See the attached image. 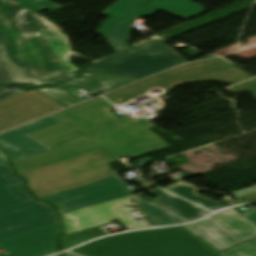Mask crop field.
<instances>
[{
  "instance_id": "crop-field-1",
  "label": "crop field",
  "mask_w": 256,
  "mask_h": 256,
  "mask_svg": "<svg viewBox=\"0 0 256 256\" xmlns=\"http://www.w3.org/2000/svg\"><path fill=\"white\" fill-rule=\"evenodd\" d=\"M21 10H0V100L24 92L14 86H40L79 70L68 61L70 50L62 33L26 38L18 31L12 14Z\"/></svg>"
},
{
  "instance_id": "crop-field-2",
  "label": "crop field",
  "mask_w": 256,
  "mask_h": 256,
  "mask_svg": "<svg viewBox=\"0 0 256 256\" xmlns=\"http://www.w3.org/2000/svg\"><path fill=\"white\" fill-rule=\"evenodd\" d=\"M16 177L0 151V256H47L56 252L60 234L57 216L50 205L34 200Z\"/></svg>"
},
{
  "instance_id": "crop-field-3",
  "label": "crop field",
  "mask_w": 256,
  "mask_h": 256,
  "mask_svg": "<svg viewBox=\"0 0 256 256\" xmlns=\"http://www.w3.org/2000/svg\"><path fill=\"white\" fill-rule=\"evenodd\" d=\"M144 118L13 163L18 175L103 147L115 156L136 158L169 146L148 128Z\"/></svg>"
},
{
  "instance_id": "crop-field-4",
  "label": "crop field",
  "mask_w": 256,
  "mask_h": 256,
  "mask_svg": "<svg viewBox=\"0 0 256 256\" xmlns=\"http://www.w3.org/2000/svg\"><path fill=\"white\" fill-rule=\"evenodd\" d=\"M71 252L82 256H209L216 254L181 226L104 238Z\"/></svg>"
},
{
  "instance_id": "crop-field-5",
  "label": "crop field",
  "mask_w": 256,
  "mask_h": 256,
  "mask_svg": "<svg viewBox=\"0 0 256 256\" xmlns=\"http://www.w3.org/2000/svg\"><path fill=\"white\" fill-rule=\"evenodd\" d=\"M116 158L99 148L20 176L27 180L28 191L40 198L115 175L107 163Z\"/></svg>"
},
{
  "instance_id": "crop-field-6",
  "label": "crop field",
  "mask_w": 256,
  "mask_h": 256,
  "mask_svg": "<svg viewBox=\"0 0 256 256\" xmlns=\"http://www.w3.org/2000/svg\"><path fill=\"white\" fill-rule=\"evenodd\" d=\"M114 107L102 97L52 115L62 123L29 134L53 149L136 120L125 116L118 119L109 112Z\"/></svg>"
},
{
  "instance_id": "crop-field-7",
  "label": "crop field",
  "mask_w": 256,
  "mask_h": 256,
  "mask_svg": "<svg viewBox=\"0 0 256 256\" xmlns=\"http://www.w3.org/2000/svg\"><path fill=\"white\" fill-rule=\"evenodd\" d=\"M186 61L158 40L84 71L120 73L137 81Z\"/></svg>"
},
{
  "instance_id": "crop-field-8",
  "label": "crop field",
  "mask_w": 256,
  "mask_h": 256,
  "mask_svg": "<svg viewBox=\"0 0 256 256\" xmlns=\"http://www.w3.org/2000/svg\"><path fill=\"white\" fill-rule=\"evenodd\" d=\"M184 228L217 253L256 237V226L233 209Z\"/></svg>"
},
{
  "instance_id": "crop-field-9",
  "label": "crop field",
  "mask_w": 256,
  "mask_h": 256,
  "mask_svg": "<svg viewBox=\"0 0 256 256\" xmlns=\"http://www.w3.org/2000/svg\"><path fill=\"white\" fill-rule=\"evenodd\" d=\"M138 184L142 187L131 190L127 188L128 185L121 177L115 175L80 188L43 197L40 198V200L54 203L59 214H62L127 196L152 187L151 183L147 181L138 182Z\"/></svg>"
},
{
  "instance_id": "crop-field-10",
  "label": "crop field",
  "mask_w": 256,
  "mask_h": 256,
  "mask_svg": "<svg viewBox=\"0 0 256 256\" xmlns=\"http://www.w3.org/2000/svg\"><path fill=\"white\" fill-rule=\"evenodd\" d=\"M133 199L137 202L142 201L141 198L131 195L96 206L62 214L61 220L64 235L116 220H118L127 230L151 227L145 221L135 222L132 220L133 216L125 207L132 205L128 201Z\"/></svg>"
},
{
  "instance_id": "crop-field-11",
  "label": "crop field",
  "mask_w": 256,
  "mask_h": 256,
  "mask_svg": "<svg viewBox=\"0 0 256 256\" xmlns=\"http://www.w3.org/2000/svg\"><path fill=\"white\" fill-rule=\"evenodd\" d=\"M81 75L82 77L79 79L66 82V86L59 85L37 90L69 107L79 101H82L80 96L76 95L77 93L75 92L79 88L96 95L106 90L121 87L132 82L129 78L121 75L98 73H81ZM72 86H74V88H72Z\"/></svg>"
},
{
  "instance_id": "crop-field-12",
  "label": "crop field",
  "mask_w": 256,
  "mask_h": 256,
  "mask_svg": "<svg viewBox=\"0 0 256 256\" xmlns=\"http://www.w3.org/2000/svg\"><path fill=\"white\" fill-rule=\"evenodd\" d=\"M57 123L60 122L49 116L15 128L7 133L0 135V148L10 155L12 163L50 150L27 134Z\"/></svg>"
},
{
  "instance_id": "crop-field-13",
  "label": "crop field",
  "mask_w": 256,
  "mask_h": 256,
  "mask_svg": "<svg viewBox=\"0 0 256 256\" xmlns=\"http://www.w3.org/2000/svg\"><path fill=\"white\" fill-rule=\"evenodd\" d=\"M178 15L183 18H190L204 12L201 5L189 0H151L147 5L129 15L112 34L122 50L128 49L129 32L133 29L131 23L133 20L142 16H149L157 10Z\"/></svg>"
},
{
  "instance_id": "crop-field-14",
  "label": "crop field",
  "mask_w": 256,
  "mask_h": 256,
  "mask_svg": "<svg viewBox=\"0 0 256 256\" xmlns=\"http://www.w3.org/2000/svg\"><path fill=\"white\" fill-rule=\"evenodd\" d=\"M148 192L154 196L155 198L151 199L141 193ZM138 194H135L143 199L152 202L172 213H175L189 221L198 219L210 212L195 206L181 198L173 196L159 188L150 189Z\"/></svg>"
},
{
  "instance_id": "crop-field-15",
  "label": "crop field",
  "mask_w": 256,
  "mask_h": 256,
  "mask_svg": "<svg viewBox=\"0 0 256 256\" xmlns=\"http://www.w3.org/2000/svg\"><path fill=\"white\" fill-rule=\"evenodd\" d=\"M147 1L149 0H119L103 12V14H108L111 16L101 26L98 33L102 34L105 38H107L116 51L121 50V48L116 43L111 34L118 27V25L121 23L122 19L125 16L139 8Z\"/></svg>"
},
{
  "instance_id": "crop-field-16",
  "label": "crop field",
  "mask_w": 256,
  "mask_h": 256,
  "mask_svg": "<svg viewBox=\"0 0 256 256\" xmlns=\"http://www.w3.org/2000/svg\"><path fill=\"white\" fill-rule=\"evenodd\" d=\"M205 62L208 64L210 69L188 75L186 78H211L217 81L233 84L253 78L241 69L233 66L231 63H228L221 58Z\"/></svg>"
},
{
  "instance_id": "crop-field-17",
  "label": "crop field",
  "mask_w": 256,
  "mask_h": 256,
  "mask_svg": "<svg viewBox=\"0 0 256 256\" xmlns=\"http://www.w3.org/2000/svg\"><path fill=\"white\" fill-rule=\"evenodd\" d=\"M153 87H161L167 92L174 89V82L170 81L163 74L105 95L114 105L129 101L131 98L147 93Z\"/></svg>"
},
{
  "instance_id": "crop-field-18",
  "label": "crop field",
  "mask_w": 256,
  "mask_h": 256,
  "mask_svg": "<svg viewBox=\"0 0 256 256\" xmlns=\"http://www.w3.org/2000/svg\"><path fill=\"white\" fill-rule=\"evenodd\" d=\"M164 189H167L179 196H182L188 200H191L212 211L221 207L234 205V202L229 195L223 198L222 200L215 202L211 199H208L206 197H203L197 194L198 192H200V189L184 181H178Z\"/></svg>"
},
{
  "instance_id": "crop-field-19",
  "label": "crop field",
  "mask_w": 256,
  "mask_h": 256,
  "mask_svg": "<svg viewBox=\"0 0 256 256\" xmlns=\"http://www.w3.org/2000/svg\"><path fill=\"white\" fill-rule=\"evenodd\" d=\"M18 29L26 37L41 31H58L51 23L31 11H21L13 14Z\"/></svg>"
},
{
  "instance_id": "crop-field-20",
  "label": "crop field",
  "mask_w": 256,
  "mask_h": 256,
  "mask_svg": "<svg viewBox=\"0 0 256 256\" xmlns=\"http://www.w3.org/2000/svg\"><path fill=\"white\" fill-rule=\"evenodd\" d=\"M136 206L146 216L145 218L153 225H170L188 222L187 220L172 214L152 203L140 202Z\"/></svg>"
},
{
  "instance_id": "crop-field-21",
  "label": "crop field",
  "mask_w": 256,
  "mask_h": 256,
  "mask_svg": "<svg viewBox=\"0 0 256 256\" xmlns=\"http://www.w3.org/2000/svg\"><path fill=\"white\" fill-rule=\"evenodd\" d=\"M12 5H17L24 9L31 10L35 13L46 9L55 10L57 8L62 7L47 0H5L2 3H0V9Z\"/></svg>"
},
{
  "instance_id": "crop-field-22",
  "label": "crop field",
  "mask_w": 256,
  "mask_h": 256,
  "mask_svg": "<svg viewBox=\"0 0 256 256\" xmlns=\"http://www.w3.org/2000/svg\"><path fill=\"white\" fill-rule=\"evenodd\" d=\"M206 68H208V66L205 64L204 61H201V62L182 65L180 67L174 68L163 74L167 76L169 79L174 80L177 78L185 77L191 73H196Z\"/></svg>"
},
{
  "instance_id": "crop-field-23",
  "label": "crop field",
  "mask_w": 256,
  "mask_h": 256,
  "mask_svg": "<svg viewBox=\"0 0 256 256\" xmlns=\"http://www.w3.org/2000/svg\"><path fill=\"white\" fill-rule=\"evenodd\" d=\"M220 256H256V239L228 250Z\"/></svg>"
},
{
  "instance_id": "crop-field-24",
  "label": "crop field",
  "mask_w": 256,
  "mask_h": 256,
  "mask_svg": "<svg viewBox=\"0 0 256 256\" xmlns=\"http://www.w3.org/2000/svg\"><path fill=\"white\" fill-rule=\"evenodd\" d=\"M211 79H183V80H176L175 87L184 84V83H193V82H203V81H210Z\"/></svg>"
},
{
  "instance_id": "crop-field-25",
  "label": "crop field",
  "mask_w": 256,
  "mask_h": 256,
  "mask_svg": "<svg viewBox=\"0 0 256 256\" xmlns=\"http://www.w3.org/2000/svg\"><path fill=\"white\" fill-rule=\"evenodd\" d=\"M242 215L256 225V210L250 211Z\"/></svg>"
},
{
  "instance_id": "crop-field-26",
  "label": "crop field",
  "mask_w": 256,
  "mask_h": 256,
  "mask_svg": "<svg viewBox=\"0 0 256 256\" xmlns=\"http://www.w3.org/2000/svg\"><path fill=\"white\" fill-rule=\"evenodd\" d=\"M247 88H250V86L237 85V86L231 87L227 90L231 93H236V92L242 91V90L247 89Z\"/></svg>"
},
{
  "instance_id": "crop-field-27",
  "label": "crop field",
  "mask_w": 256,
  "mask_h": 256,
  "mask_svg": "<svg viewBox=\"0 0 256 256\" xmlns=\"http://www.w3.org/2000/svg\"><path fill=\"white\" fill-rule=\"evenodd\" d=\"M75 76H77V75H76V74H69V75H66V76H64V77H62V78H60V79H57V80L53 81V82H50V83H48V84H49V85H52V84H55V83H58V82H61V81L68 80V79L73 78V77H75Z\"/></svg>"
},
{
  "instance_id": "crop-field-28",
  "label": "crop field",
  "mask_w": 256,
  "mask_h": 256,
  "mask_svg": "<svg viewBox=\"0 0 256 256\" xmlns=\"http://www.w3.org/2000/svg\"><path fill=\"white\" fill-rule=\"evenodd\" d=\"M243 85L256 86V79L243 83Z\"/></svg>"
},
{
  "instance_id": "crop-field-29",
  "label": "crop field",
  "mask_w": 256,
  "mask_h": 256,
  "mask_svg": "<svg viewBox=\"0 0 256 256\" xmlns=\"http://www.w3.org/2000/svg\"><path fill=\"white\" fill-rule=\"evenodd\" d=\"M211 57H214V56H211V55H207V56H204V57L198 58V59H196V60H200V59H206V58H211Z\"/></svg>"
},
{
  "instance_id": "crop-field-30",
  "label": "crop field",
  "mask_w": 256,
  "mask_h": 256,
  "mask_svg": "<svg viewBox=\"0 0 256 256\" xmlns=\"http://www.w3.org/2000/svg\"><path fill=\"white\" fill-rule=\"evenodd\" d=\"M63 256H76V255H73V254H70L68 252L64 253Z\"/></svg>"
},
{
  "instance_id": "crop-field-31",
  "label": "crop field",
  "mask_w": 256,
  "mask_h": 256,
  "mask_svg": "<svg viewBox=\"0 0 256 256\" xmlns=\"http://www.w3.org/2000/svg\"><path fill=\"white\" fill-rule=\"evenodd\" d=\"M249 92H252V93H255V94H256V88H255V89L250 90ZM255 99H256V97H255Z\"/></svg>"
},
{
  "instance_id": "crop-field-32",
  "label": "crop field",
  "mask_w": 256,
  "mask_h": 256,
  "mask_svg": "<svg viewBox=\"0 0 256 256\" xmlns=\"http://www.w3.org/2000/svg\"><path fill=\"white\" fill-rule=\"evenodd\" d=\"M217 256H219V255H217Z\"/></svg>"
},
{
  "instance_id": "crop-field-33",
  "label": "crop field",
  "mask_w": 256,
  "mask_h": 256,
  "mask_svg": "<svg viewBox=\"0 0 256 256\" xmlns=\"http://www.w3.org/2000/svg\"><path fill=\"white\" fill-rule=\"evenodd\" d=\"M59 256V255H58Z\"/></svg>"
}]
</instances>
